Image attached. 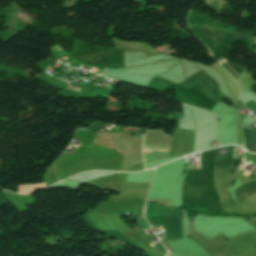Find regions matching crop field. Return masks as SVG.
I'll use <instances>...</instances> for the list:
<instances>
[{"instance_id":"crop-field-1","label":"crop field","mask_w":256,"mask_h":256,"mask_svg":"<svg viewBox=\"0 0 256 256\" xmlns=\"http://www.w3.org/2000/svg\"><path fill=\"white\" fill-rule=\"evenodd\" d=\"M146 210V207H145ZM145 215V211H144ZM146 216H160L182 219V210L160 207L154 204H147Z\"/></svg>"},{"instance_id":"crop-field-2","label":"crop field","mask_w":256,"mask_h":256,"mask_svg":"<svg viewBox=\"0 0 256 256\" xmlns=\"http://www.w3.org/2000/svg\"><path fill=\"white\" fill-rule=\"evenodd\" d=\"M168 239L182 238L181 220L164 219Z\"/></svg>"},{"instance_id":"crop-field-3","label":"crop field","mask_w":256,"mask_h":256,"mask_svg":"<svg viewBox=\"0 0 256 256\" xmlns=\"http://www.w3.org/2000/svg\"><path fill=\"white\" fill-rule=\"evenodd\" d=\"M237 203L256 193V181H249L233 191Z\"/></svg>"},{"instance_id":"crop-field-4","label":"crop field","mask_w":256,"mask_h":256,"mask_svg":"<svg viewBox=\"0 0 256 256\" xmlns=\"http://www.w3.org/2000/svg\"><path fill=\"white\" fill-rule=\"evenodd\" d=\"M245 141L246 150L256 152V131L247 128H241Z\"/></svg>"},{"instance_id":"crop-field-5","label":"crop field","mask_w":256,"mask_h":256,"mask_svg":"<svg viewBox=\"0 0 256 256\" xmlns=\"http://www.w3.org/2000/svg\"><path fill=\"white\" fill-rule=\"evenodd\" d=\"M111 229H125L128 230L123 221L118 217L117 214L101 215Z\"/></svg>"},{"instance_id":"crop-field-6","label":"crop field","mask_w":256,"mask_h":256,"mask_svg":"<svg viewBox=\"0 0 256 256\" xmlns=\"http://www.w3.org/2000/svg\"><path fill=\"white\" fill-rule=\"evenodd\" d=\"M45 183L40 184H26V185H19L18 193L20 194H28L34 191L36 188L43 187Z\"/></svg>"},{"instance_id":"crop-field-7","label":"crop field","mask_w":256,"mask_h":256,"mask_svg":"<svg viewBox=\"0 0 256 256\" xmlns=\"http://www.w3.org/2000/svg\"><path fill=\"white\" fill-rule=\"evenodd\" d=\"M227 64H228V66L231 68V69H233L234 71H235V73L237 74V75H239V73L242 71V69L244 68V67H240V66H237V65H234V64H232V63H229V62H227ZM224 67H226L228 70H229V72L236 78L237 76H236V74L227 66V65H223ZM225 68V69H226ZM226 69V70H227Z\"/></svg>"},{"instance_id":"crop-field-8","label":"crop field","mask_w":256,"mask_h":256,"mask_svg":"<svg viewBox=\"0 0 256 256\" xmlns=\"http://www.w3.org/2000/svg\"><path fill=\"white\" fill-rule=\"evenodd\" d=\"M139 229H150L149 225L147 224V222L144 220L143 217H139L137 218V227Z\"/></svg>"},{"instance_id":"crop-field-9","label":"crop field","mask_w":256,"mask_h":256,"mask_svg":"<svg viewBox=\"0 0 256 256\" xmlns=\"http://www.w3.org/2000/svg\"><path fill=\"white\" fill-rule=\"evenodd\" d=\"M170 147L153 146L152 150L169 151Z\"/></svg>"},{"instance_id":"crop-field-10","label":"crop field","mask_w":256,"mask_h":256,"mask_svg":"<svg viewBox=\"0 0 256 256\" xmlns=\"http://www.w3.org/2000/svg\"><path fill=\"white\" fill-rule=\"evenodd\" d=\"M245 106H247L248 108H250V109H252L253 111H255L256 112V104L254 103V102H249L247 105H245Z\"/></svg>"}]
</instances>
